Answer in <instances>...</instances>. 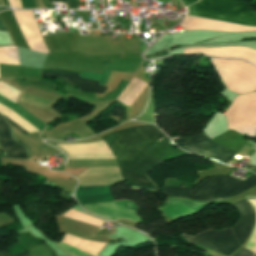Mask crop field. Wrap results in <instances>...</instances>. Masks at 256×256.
<instances>
[{
	"label": "crop field",
	"instance_id": "8a807250",
	"mask_svg": "<svg viewBox=\"0 0 256 256\" xmlns=\"http://www.w3.org/2000/svg\"><path fill=\"white\" fill-rule=\"evenodd\" d=\"M119 132L128 143L144 153L151 145L167 138L152 125L128 128ZM119 132L116 131L102 139L116 157L122 177L131 185L157 189L146 174L153 166L164 161L149 157L133 148Z\"/></svg>",
	"mask_w": 256,
	"mask_h": 256
},
{
	"label": "crop field",
	"instance_id": "ac0d7876",
	"mask_svg": "<svg viewBox=\"0 0 256 256\" xmlns=\"http://www.w3.org/2000/svg\"><path fill=\"white\" fill-rule=\"evenodd\" d=\"M254 185L256 176L253 174L245 181L222 175L203 181L194 190L164 187L163 191L168 196L186 197L193 190L187 197L208 202L231 198Z\"/></svg>",
	"mask_w": 256,
	"mask_h": 256
},
{
	"label": "crop field",
	"instance_id": "34b2d1b8",
	"mask_svg": "<svg viewBox=\"0 0 256 256\" xmlns=\"http://www.w3.org/2000/svg\"><path fill=\"white\" fill-rule=\"evenodd\" d=\"M188 9L190 16L256 26V12L246 0H201Z\"/></svg>",
	"mask_w": 256,
	"mask_h": 256
},
{
	"label": "crop field",
	"instance_id": "412701ff",
	"mask_svg": "<svg viewBox=\"0 0 256 256\" xmlns=\"http://www.w3.org/2000/svg\"><path fill=\"white\" fill-rule=\"evenodd\" d=\"M181 235L188 242L196 243L227 255H230L241 246L233 235L231 227L220 231L209 229L193 237L186 234Z\"/></svg>",
	"mask_w": 256,
	"mask_h": 256
},
{
	"label": "crop field",
	"instance_id": "f4fd0767",
	"mask_svg": "<svg viewBox=\"0 0 256 256\" xmlns=\"http://www.w3.org/2000/svg\"><path fill=\"white\" fill-rule=\"evenodd\" d=\"M175 143L184 150L193 152L202 157H210L226 163L235 154V152L213 142L203 134L194 136L192 138L175 141Z\"/></svg>",
	"mask_w": 256,
	"mask_h": 256
},
{
	"label": "crop field",
	"instance_id": "dd49c442",
	"mask_svg": "<svg viewBox=\"0 0 256 256\" xmlns=\"http://www.w3.org/2000/svg\"><path fill=\"white\" fill-rule=\"evenodd\" d=\"M232 205L236 207L241 215L240 221L232 229L238 241L242 245L249 237L254 226L255 212L246 199L233 203Z\"/></svg>",
	"mask_w": 256,
	"mask_h": 256
},
{
	"label": "crop field",
	"instance_id": "e52e79f7",
	"mask_svg": "<svg viewBox=\"0 0 256 256\" xmlns=\"http://www.w3.org/2000/svg\"><path fill=\"white\" fill-rule=\"evenodd\" d=\"M0 143L6 149V155L10 158L27 159L26 148L17 143L11 134L10 125L0 114Z\"/></svg>",
	"mask_w": 256,
	"mask_h": 256
},
{
	"label": "crop field",
	"instance_id": "d8731c3e",
	"mask_svg": "<svg viewBox=\"0 0 256 256\" xmlns=\"http://www.w3.org/2000/svg\"><path fill=\"white\" fill-rule=\"evenodd\" d=\"M75 197L80 204L114 200L110 186L78 187Z\"/></svg>",
	"mask_w": 256,
	"mask_h": 256
},
{
	"label": "crop field",
	"instance_id": "5a996713",
	"mask_svg": "<svg viewBox=\"0 0 256 256\" xmlns=\"http://www.w3.org/2000/svg\"><path fill=\"white\" fill-rule=\"evenodd\" d=\"M45 77L65 78L66 80L70 81L74 85L80 87V91L103 94L106 89V87L98 85L99 83L98 81L81 79L79 78V75L41 72V78L44 79Z\"/></svg>",
	"mask_w": 256,
	"mask_h": 256
},
{
	"label": "crop field",
	"instance_id": "3316defc",
	"mask_svg": "<svg viewBox=\"0 0 256 256\" xmlns=\"http://www.w3.org/2000/svg\"><path fill=\"white\" fill-rule=\"evenodd\" d=\"M63 242L88 252L94 256H96L98 252L106 245L104 242L82 240L67 234L65 235Z\"/></svg>",
	"mask_w": 256,
	"mask_h": 256
},
{
	"label": "crop field",
	"instance_id": "28ad6ade",
	"mask_svg": "<svg viewBox=\"0 0 256 256\" xmlns=\"http://www.w3.org/2000/svg\"><path fill=\"white\" fill-rule=\"evenodd\" d=\"M64 218H68L74 221H78L84 224H88L94 227H98L100 226L101 222L100 220H97L95 218H92L90 216L84 215L82 213H79L73 209L67 211L66 213H64L63 215Z\"/></svg>",
	"mask_w": 256,
	"mask_h": 256
},
{
	"label": "crop field",
	"instance_id": "d1516ede",
	"mask_svg": "<svg viewBox=\"0 0 256 256\" xmlns=\"http://www.w3.org/2000/svg\"><path fill=\"white\" fill-rule=\"evenodd\" d=\"M253 255H255V254H253V253H251V252H249L248 250H246V249H242V250H240L236 255H234V256H253Z\"/></svg>",
	"mask_w": 256,
	"mask_h": 256
},
{
	"label": "crop field",
	"instance_id": "22f410ed",
	"mask_svg": "<svg viewBox=\"0 0 256 256\" xmlns=\"http://www.w3.org/2000/svg\"><path fill=\"white\" fill-rule=\"evenodd\" d=\"M4 116L6 117L7 121L10 122L12 125H14L16 128H18L21 132H23L24 134H29L28 132H26L23 128H21L18 124H16L13 120H11L8 116H6L4 114Z\"/></svg>",
	"mask_w": 256,
	"mask_h": 256
},
{
	"label": "crop field",
	"instance_id": "cbeb9de0",
	"mask_svg": "<svg viewBox=\"0 0 256 256\" xmlns=\"http://www.w3.org/2000/svg\"><path fill=\"white\" fill-rule=\"evenodd\" d=\"M0 256H28V254L26 253V251L20 252V253H16V254H12V255L0 252Z\"/></svg>",
	"mask_w": 256,
	"mask_h": 256
},
{
	"label": "crop field",
	"instance_id": "5142ce71",
	"mask_svg": "<svg viewBox=\"0 0 256 256\" xmlns=\"http://www.w3.org/2000/svg\"><path fill=\"white\" fill-rule=\"evenodd\" d=\"M182 1H183L185 6H189V5L197 2L198 0H182Z\"/></svg>",
	"mask_w": 256,
	"mask_h": 256
},
{
	"label": "crop field",
	"instance_id": "d9b57169",
	"mask_svg": "<svg viewBox=\"0 0 256 256\" xmlns=\"http://www.w3.org/2000/svg\"><path fill=\"white\" fill-rule=\"evenodd\" d=\"M0 30H6V28L4 27L1 21H0Z\"/></svg>",
	"mask_w": 256,
	"mask_h": 256
},
{
	"label": "crop field",
	"instance_id": "733c2abd",
	"mask_svg": "<svg viewBox=\"0 0 256 256\" xmlns=\"http://www.w3.org/2000/svg\"><path fill=\"white\" fill-rule=\"evenodd\" d=\"M0 149L3 151L4 149L0 146Z\"/></svg>",
	"mask_w": 256,
	"mask_h": 256
}]
</instances>
